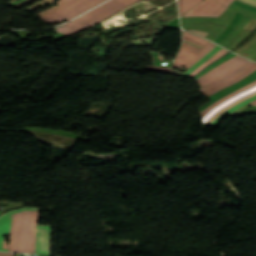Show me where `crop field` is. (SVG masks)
<instances>
[{
    "label": "crop field",
    "mask_w": 256,
    "mask_h": 256,
    "mask_svg": "<svg viewBox=\"0 0 256 256\" xmlns=\"http://www.w3.org/2000/svg\"><path fill=\"white\" fill-rule=\"evenodd\" d=\"M11 211L0 217V250L12 252L50 253V251L20 250L23 210ZM40 211H24L21 249L50 250V227L37 226ZM10 234L9 250L2 249L3 237Z\"/></svg>",
    "instance_id": "8a807250"
},
{
    "label": "crop field",
    "mask_w": 256,
    "mask_h": 256,
    "mask_svg": "<svg viewBox=\"0 0 256 256\" xmlns=\"http://www.w3.org/2000/svg\"><path fill=\"white\" fill-rule=\"evenodd\" d=\"M137 1L139 0H112L56 30L71 35L115 14Z\"/></svg>",
    "instance_id": "ac0d7876"
},
{
    "label": "crop field",
    "mask_w": 256,
    "mask_h": 256,
    "mask_svg": "<svg viewBox=\"0 0 256 256\" xmlns=\"http://www.w3.org/2000/svg\"><path fill=\"white\" fill-rule=\"evenodd\" d=\"M103 1L105 0H71L59 10L44 15L41 18L46 24L57 23L64 19L69 20Z\"/></svg>",
    "instance_id": "34b2d1b8"
},
{
    "label": "crop field",
    "mask_w": 256,
    "mask_h": 256,
    "mask_svg": "<svg viewBox=\"0 0 256 256\" xmlns=\"http://www.w3.org/2000/svg\"><path fill=\"white\" fill-rule=\"evenodd\" d=\"M248 60L239 58L237 56L231 58L230 60L222 63L218 67L214 68L201 78H199L198 81L203 87L209 85L210 83L218 80L222 76L236 70L239 68L241 65L246 63Z\"/></svg>",
    "instance_id": "412701ff"
},
{
    "label": "crop field",
    "mask_w": 256,
    "mask_h": 256,
    "mask_svg": "<svg viewBox=\"0 0 256 256\" xmlns=\"http://www.w3.org/2000/svg\"><path fill=\"white\" fill-rule=\"evenodd\" d=\"M223 6L213 0H206L184 16H210L219 17L225 10Z\"/></svg>",
    "instance_id": "f4fd0767"
},
{
    "label": "crop field",
    "mask_w": 256,
    "mask_h": 256,
    "mask_svg": "<svg viewBox=\"0 0 256 256\" xmlns=\"http://www.w3.org/2000/svg\"><path fill=\"white\" fill-rule=\"evenodd\" d=\"M183 35H184V43H183V47L197 51V52H201L208 44H210V42L203 40L199 37H196L192 34H189L185 31H183Z\"/></svg>",
    "instance_id": "dd49c442"
},
{
    "label": "crop field",
    "mask_w": 256,
    "mask_h": 256,
    "mask_svg": "<svg viewBox=\"0 0 256 256\" xmlns=\"http://www.w3.org/2000/svg\"><path fill=\"white\" fill-rule=\"evenodd\" d=\"M198 53L182 48L179 56L177 57L174 65L181 69L182 65H186L191 61Z\"/></svg>",
    "instance_id": "e52e79f7"
},
{
    "label": "crop field",
    "mask_w": 256,
    "mask_h": 256,
    "mask_svg": "<svg viewBox=\"0 0 256 256\" xmlns=\"http://www.w3.org/2000/svg\"><path fill=\"white\" fill-rule=\"evenodd\" d=\"M255 90H256V86H255L254 88H252V89H250V90H248V91L242 92V93L236 95L235 97H233L232 99H230V100H228V101H226V102L220 104L219 106H217L216 108H214L210 113H208L202 120L206 123V122L208 121V119H209L214 113H216L219 109H221V108L224 107L225 105H227V104H229V103H231V102H233V101H235V100H237V99H239V98H241V97H243V96H245V95H247V94H249V93H251V92H253V91H255Z\"/></svg>",
    "instance_id": "d8731c3e"
},
{
    "label": "crop field",
    "mask_w": 256,
    "mask_h": 256,
    "mask_svg": "<svg viewBox=\"0 0 256 256\" xmlns=\"http://www.w3.org/2000/svg\"><path fill=\"white\" fill-rule=\"evenodd\" d=\"M227 52H229V51H227L225 49L220 50L218 53H216L214 56H212L210 59H208L206 62H204L201 66H199L197 69H195L188 77H194L197 73H199L201 70H203L208 65L215 62L217 59H219L220 57L225 55Z\"/></svg>",
    "instance_id": "5a996713"
},
{
    "label": "crop field",
    "mask_w": 256,
    "mask_h": 256,
    "mask_svg": "<svg viewBox=\"0 0 256 256\" xmlns=\"http://www.w3.org/2000/svg\"><path fill=\"white\" fill-rule=\"evenodd\" d=\"M255 85H256V80L254 82H252L251 84L247 85L246 87H244V88H242V89H240V90H238V91H236V92H234V93H232V94H230V95H228V96L218 100L217 102H215L213 105H211L210 107H208L206 110H204L202 112L203 116H205L215 106L219 105L220 103L224 102L225 100L229 99L230 97H232V96H234V95H236V94H238V93H240V92H242L244 90H247V89H249V88H251V87H253Z\"/></svg>",
    "instance_id": "3316defc"
},
{
    "label": "crop field",
    "mask_w": 256,
    "mask_h": 256,
    "mask_svg": "<svg viewBox=\"0 0 256 256\" xmlns=\"http://www.w3.org/2000/svg\"><path fill=\"white\" fill-rule=\"evenodd\" d=\"M178 1H179L180 15H183L188 10L193 8L195 5L200 3L202 0H178Z\"/></svg>",
    "instance_id": "28ad6ade"
},
{
    "label": "crop field",
    "mask_w": 256,
    "mask_h": 256,
    "mask_svg": "<svg viewBox=\"0 0 256 256\" xmlns=\"http://www.w3.org/2000/svg\"><path fill=\"white\" fill-rule=\"evenodd\" d=\"M254 70H256V65L253 68H251L250 70H248L247 72H245L244 74H242L241 76H239L238 78H236L235 80H233V81H231V82H229V83H227L225 85H222V86H220V87H218V88H216V89H214V90H212V91H210V92H208L206 94L208 96H210V95H212V94H214V93H216V92H218V91H220V90H222V89H224V88H226V87H228V86H230V85L240 81L241 79H243L244 77H246L247 75L252 73Z\"/></svg>",
    "instance_id": "d1516ede"
},
{
    "label": "crop field",
    "mask_w": 256,
    "mask_h": 256,
    "mask_svg": "<svg viewBox=\"0 0 256 256\" xmlns=\"http://www.w3.org/2000/svg\"><path fill=\"white\" fill-rule=\"evenodd\" d=\"M255 94H256V91L253 92V93H251V94H249V95H247V96H245V97H243V98H241L240 100H238V101H236V102H234V103H232V104H230V105H228V106L222 108L220 111H218L216 114H214V115L210 118V120L207 122V124L210 125V124H211L219 115H221L223 112H225V111L228 110L229 108L233 107L234 105H236V104H238V103H240V102H242V101H244V100H246V99H248V98L254 96Z\"/></svg>",
    "instance_id": "22f410ed"
},
{
    "label": "crop field",
    "mask_w": 256,
    "mask_h": 256,
    "mask_svg": "<svg viewBox=\"0 0 256 256\" xmlns=\"http://www.w3.org/2000/svg\"><path fill=\"white\" fill-rule=\"evenodd\" d=\"M219 49H221V48L216 46L205 57H203L200 61H198L194 66H192L183 76L186 77L187 75H189L196 67H198L200 64H202L204 61H206L209 57H211Z\"/></svg>",
    "instance_id": "cbeb9de0"
},
{
    "label": "crop field",
    "mask_w": 256,
    "mask_h": 256,
    "mask_svg": "<svg viewBox=\"0 0 256 256\" xmlns=\"http://www.w3.org/2000/svg\"><path fill=\"white\" fill-rule=\"evenodd\" d=\"M254 99H256V96H254V97H252V98L246 100L245 102H243V103H241V104H239V105H237V106H235V107L229 109L228 111H226L225 113H223L221 116H219V117L211 124V126L215 127V126L222 120V118H223L224 116H226V115L229 114L231 111H233V110H235V109H237V108H239V107H241V106L247 104L248 102H250V101H252V100H254Z\"/></svg>",
    "instance_id": "5142ce71"
},
{
    "label": "crop field",
    "mask_w": 256,
    "mask_h": 256,
    "mask_svg": "<svg viewBox=\"0 0 256 256\" xmlns=\"http://www.w3.org/2000/svg\"><path fill=\"white\" fill-rule=\"evenodd\" d=\"M31 1H33V0H26V1H24V2H22V3H20V4H18V5H16V7H20V6H22V5H25V4L29 3V2H31ZM68 1H69V0H60V1L57 3L59 6L53 7V8H51V9L47 10V11H44V12H42V13H39V15L41 16V15H43V14L50 13V12H52V11H54V10L60 8L62 5H64V4H65L66 2H68Z\"/></svg>",
    "instance_id": "d9b57169"
},
{
    "label": "crop field",
    "mask_w": 256,
    "mask_h": 256,
    "mask_svg": "<svg viewBox=\"0 0 256 256\" xmlns=\"http://www.w3.org/2000/svg\"><path fill=\"white\" fill-rule=\"evenodd\" d=\"M216 45L210 44L208 47H206L197 57H195L191 62H189L186 67L189 69L192 65H194L202 56H204L209 50H211Z\"/></svg>",
    "instance_id": "733c2abd"
},
{
    "label": "crop field",
    "mask_w": 256,
    "mask_h": 256,
    "mask_svg": "<svg viewBox=\"0 0 256 256\" xmlns=\"http://www.w3.org/2000/svg\"><path fill=\"white\" fill-rule=\"evenodd\" d=\"M254 65H255V63L251 64L250 66L246 67L245 69H243L242 71L238 72L237 74L231 76L230 78L226 79L225 81H223V82H221V83H219V84H217V85H215V86H213V87L203 91V93H205V92H207V91H209V90H211V89H213V88H215L217 86H220V85H222V84H224V83H226V82H228V81L238 77L239 75H241L242 73H244L245 71H247L248 69H250Z\"/></svg>",
    "instance_id": "4a817a6b"
},
{
    "label": "crop field",
    "mask_w": 256,
    "mask_h": 256,
    "mask_svg": "<svg viewBox=\"0 0 256 256\" xmlns=\"http://www.w3.org/2000/svg\"><path fill=\"white\" fill-rule=\"evenodd\" d=\"M144 68L149 69V70H153V71H157V72H163V73H169V74H172V73H171V68H164V67H151V66L144 67Z\"/></svg>",
    "instance_id": "bc2a9ffb"
},
{
    "label": "crop field",
    "mask_w": 256,
    "mask_h": 256,
    "mask_svg": "<svg viewBox=\"0 0 256 256\" xmlns=\"http://www.w3.org/2000/svg\"><path fill=\"white\" fill-rule=\"evenodd\" d=\"M155 38H151V39H144V40H147L148 42L146 44H142L141 41L143 40H138V41H134L126 46H123V47H129L130 45H144V46H149L153 41H154Z\"/></svg>",
    "instance_id": "214f88e0"
},
{
    "label": "crop field",
    "mask_w": 256,
    "mask_h": 256,
    "mask_svg": "<svg viewBox=\"0 0 256 256\" xmlns=\"http://www.w3.org/2000/svg\"><path fill=\"white\" fill-rule=\"evenodd\" d=\"M216 1H218L219 3H221V4H223L224 6L227 7V5L229 3H231L233 0H216Z\"/></svg>",
    "instance_id": "92a150f3"
},
{
    "label": "crop field",
    "mask_w": 256,
    "mask_h": 256,
    "mask_svg": "<svg viewBox=\"0 0 256 256\" xmlns=\"http://www.w3.org/2000/svg\"><path fill=\"white\" fill-rule=\"evenodd\" d=\"M189 31H192V32H194L196 34H199V35L203 36V37H205L206 34H207L206 32H202V31H198V30H189Z\"/></svg>",
    "instance_id": "dafd665d"
},
{
    "label": "crop field",
    "mask_w": 256,
    "mask_h": 256,
    "mask_svg": "<svg viewBox=\"0 0 256 256\" xmlns=\"http://www.w3.org/2000/svg\"><path fill=\"white\" fill-rule=\"evenodd\" d=\"M241 1H244L250 5L256 6V0H241Z\"/></svg>",
    "instance_id": "00972430"
},
{
    "label": "crop field",
    "mask_w": 256,
    "mask_h": 256,
    "mask_svg": "<svg viewBox=\"0 0 256 256\" xmlns=\"http://www.w3.org/2000/svg\"><path fill=\"white\" fill-rule=\"evenodd\" d=\"M21 1H23V0H19L18 2L12 4V6L16 5L17 3L21 2Z\"/></svg>",
    "instance_id": "a9b5d70f"
},
{
    "label": "crop field",
    "mask_w": 256,
    "mask_h": 256,
    "mask_svg": "<svg viewBox=\"0 0 256 256\" xmlns=\"http://www.w3.org/2000/svg\"><path fill=\"white\" fill-rule=\"evenodd\" d=\"M254 102H256V100H255V101H253V102H251L250 104H252V103H254Z\"/></svg>",
    "instance_id": "4177f3b9"
},
{
    "label": "crop field",
    "mask_w": 256,
    "mask_h": 256,
    "mask_svg": "<svg viewBox=\"0 0 256 256\" xmlns=\"http://www.w3.org/2000/svg\"><path fill=\"white\" fill-rule=\"evenodd\" d=\"M253 105H255V106H256V103H255V104H253Z\"/></svg>",
    "instance_id": "730fd06b"
},
{
    "label": "crop field",
    "mask_w": 256,
    "mask_h": 256,
    "mask_svg": "<svg viewBox=\"0 0 256 256\" xmlns=\"http://www.w3.org/2000/svg\"><path fill=\"white\" fill-rule=\"evenodd\" d=\"M249 62H250V61H249ZM247 63H248V62H247ZM247 63H246V64H247ZM243 66H244V65H243Z\"/></svg>",
    "instance_id": "eef30255"
}]
</instances>
